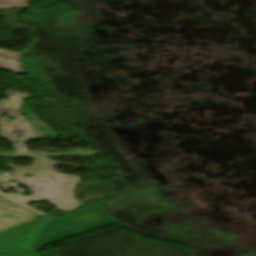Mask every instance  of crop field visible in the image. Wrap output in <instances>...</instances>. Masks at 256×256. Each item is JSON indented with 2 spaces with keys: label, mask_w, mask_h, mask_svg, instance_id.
Here are the masks:
<instances>
[{
  "label": "crop field",
  "mask_w": 256,
  "mask_h": 256,
  "mask_svg": "<svg viewBox=\"0 0 256 256\" xmlns=\"http://www.w3.org/2000/svg\"><path fill=\"white\" fill-rule=\"evenodd\" d=\"M53 219L48 216L0 232V256H35L31 249Z\"/></svg>",
  "instance_id": "obj_3"
},
{
  "label": "crop field",
  "mask_w": 256,
  "mask_h": 256,
  "mask_svg": "<svg viewBox=\"0 0 256 256\" xmlns=\"http://www.w3.org/2000/svg\"><path fill=\"white\" fill-rule=\"evenodd\" d=\"M4 182L1 178H0V183Z\"/></svg>",
  "instance_id": "obj_7"
},
{
  "label": "crop field",
  "mask_w": 256,
  "mask_h": 256,
  "mask_svg": "<svg viewBox=\"0 0 256 256\" xmlns=\"http://www.w3.org/2000/svg\"><path fill=\"white\" fill-rule=\"evenodd\" d=\"M28 7L27 0H0V8Z\"/></svg>",
  "instance_id": "obj_6"
},
{
  "label": "crop field",
  "mask_w": 256,
  "mask_h": 256,
  "mask_svg": "<svg viewBox=\"0 0 256 256\" xmlns=\"http://www.w3.org/2000/svg\"><path fill=\"white\" fill-rule=\"evenodd\" d=\"M39 216L0 197V231Z\"/></svg>",
  "instance_id": "obj_4"
},
{
  "label": "crop field",
  "mask_w": 256,
  "mask_h": 256,
  "mask_svg": "<svg viewBox=\"0 0 256 256\" xmlns=\"http://www.w3.org/2000/svg\"><path fill=\"white\" fill-rule=\"evenodd\" d=\"M20 56V54L0 49V69L12 72H22L19 67Z\"/></svg>",
  "instance_id": "obj_5"
},
{
  "label": "crop field",
  "mask_w": 256,
  "mask_h": 256,
  "mask_svg": "<svg viewBox=\"0 0 256 256\" xmlns=\"http://www.w3.org/2000/svg\"><path fill=\"white\" fill-rule=\"evenodd\" d=\"M14 147L16 149V155L33 156L34 163L27 167H16L8 163L7 165L15 170L12 174V179L34 191V194L32 197H24L15 194L5 195L0 192V196L40 216L44 214L25 205L31 201L45 199H48L60 211H70L82 205L74 196V189L79 183L80 178L57 173L54 171V166L66 165L78 168L82 167L69 163L53 162L49 158L36 156L25 149L23 142L14 144ZM43 168H46V170H43ZM26 174H30L32 177L27 178L25 177Z\"/></svg>",
  "instance_id": "obj_1"
},
{
  "label": "crop field",
  "mask_w": 256,
  "mask_h": 256,
  "mask_svg": "<svg viewBox=\"0 0 256 256\" xmlns=\"http://www.w3.org/2000/svg\"><path fill=\"white\" fill-rule=\"evenodd\" d=\"M6 92L9 98L0 101V136L12 144L46 136L20 114L21 103L28 95ZM1 113H9L16 120L8 122L2 118Z\"/></svg>",
  "instance_id": "obj_2"
}]
</instances>
